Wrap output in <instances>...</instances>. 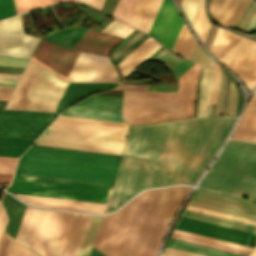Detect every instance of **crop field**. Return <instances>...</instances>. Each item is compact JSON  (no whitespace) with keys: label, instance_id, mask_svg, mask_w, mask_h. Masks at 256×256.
Returning <instances> with one entry per match:
<instances>
[{"label":"crop field","instance_id":"crop-field-1","mask_svg":"<svg viewBox=\"0 0 256 256\" xmlns=\"http://www.w3.org/2000/svg\"><path fill=\"white\" fill-rule=\"evenodd\" d=\"M235 120L188 119L131 125L107 212L145 188L195 183Z\"/></svg>","mask_w":256,"mask_h":256},{"label":"crop field","instance_id":"crop-field-2","mask_svg":"<svg viewBox=\"0 0 256 256\" xmlns=\"http://www.w3.org/2000/svg\"><path fill=\"white\" fill-rule=\"evenodd\" d=\"M189 190L175 186L143 192L118 212L105 216L94 246L108 256H156Z\"/></svg>","mask_w":256,"mask_h":256},{"label":"crop field","instance_id":"crop-field-3","mask_svg":"<svg viewBox=\"0 0 256 256\" xmlns=\"http://www.w3.org/2000/svg\"><path fill=\"white\" fill-rule=\"evenodd\" d=\"M120 156L33 146L16 173L113 184Z\"/></svg>","mask_w":256,"mask_h":256},{"label":"crop field","instance_id":"crop-field-4","mask_svg":"<svg viewBox=\"0 0 256 256\" xmlns=\"http://www.w3.org/2000/svg\"><path fill=\"white\" fill-rule=\"evenodd\" d=\"M200 68L180 77L178 93L125 91L122 118L135 124L193 117Z\"/></svg>","mask_w":256,"mask_h":256},{"label":"crop field","instance_id":"crop-field-5","mask_svg":"<svg viewBox=\"0 0 256 256\" xmlns=\"http://www.w3.org/2000/svg\"><path fill=\"white\" fill-rule=\"evenodd\" d=\"M198 186L256 200V144L230 139Z\"/></svg>","mask_w":256,"mask_h":256},{"label":"crop field","instance_id":"crop-field-6","mask_svg":"<svg viewBox=\"0 0 256 256\" xmlns=\"http://www.w3.org/2000/svg\"><path fill=\"white\" fill-rule=\"evenodd\" d=\"M113 185L16 174L10 192L107 204Z\"/></svg>","mask_w":256,"mask_h":256},{"label":"crop field","instance_id":"crop-field-7","mask_svg":"<svg viewBox=\"0 0 256 256\" xmlns=\"http://www.w3.org/2000/svg\"><path fill=\"white\" fill-rule=\"evenodd\" d=\"M125 138L47 129L37 145L121 154Z\"/></svg>","mask_w":256,"mask_h":256},{"label":"crop field","instance_id":"crop-field-8","mask_svg":"<svg viewBox=\"0 0 256 256\" xmlns=\"http://www.w3.org/2000/svg\"><path fill=\"white\" fill-rule=\"evenodd\" d=\"M74 213L43 210L29 247L43 256H58L55 246L61 249Z\"/></svg>","mask_w":256,"mask_h":256},{"label":"crop field","instance_id":"crop-field-9","mask_svg":"<svg viewBox=\"0 0 256 256\" xmlns=\"http://www.w3.org/2000/svg\"><path fill=\"white\" fill-rule=\"evenodd\" d=\"M251 89L256 84V42L232 34L222 60Z\"/></svg>","mask_w":256,"mask_h":256},{"label":"crop field","instance_id":"crop-field-10","mask_svg":"<svg viewBox=\"0 0 256 256\" xmlns=\"http://www.w3.org/2000/svg\"><path fill=\"white\" fill-rule=\"evenodd\" d=\"M58 114L3 110L0 135L37 138Z\"/></svg>","mask_w":256,"mask_h":256},{"label":"crop field","instance_id":"crop-field-11","mask_svg":"<svg viewBox=\"0 0 256 256\" xmlns=\"http://www.w3.org/2000/svg\"><path fill=\"white\" fill-rule=\"evenodd\" d=\"M67 81L120 82L108 58L81 52Z\"/></svg>","mask_w":256,"mask_h":256},{"label":"crop field","instance_id":"crop-field-12","mask_svg":"<svg viewBox=\"0 0 256 256\" xmlns=\"http://www.w3.org/2000/svg\"><path fill=\"white\" fill-rule=\"evenodd\" d=\"M212 74H213V68H209L208 70L204 69L202 73L201 94H200L199 109H198L197 117L210 116L212 104H209V99H210V91H211V83H212ZM221 77H222V71H220L215 114H217V110H218ZM229 84H230V79L223 73L218 114H226ZM232 88H233V84L231 82L227 114H229V111H230ZM236 100H237V93L234 87L230 115H235Z\"/></svg>","mask_w":256,"mask_h":256},{"label":"crop field","instance_id":"crop-field-13","mask_svg":"<svg viewBox=\"0 0 256 256\" xmlns=\"http://www.w3.org/2000/svg\"><path fill=\"white\" fill-rule=\"evenodd\" d=\"M39 38L24 35L20 16L0 21V53L29 58Z\"/></svg>","mask_w":256,"mask_h":256},{"label":"crop field","instance_id":"crop-field-14","mask_svg":"<svg viewBox=\"0 0 256 256\" xmlns=\"http://www.w3.org/2000/svg\"><path fill=\"white\" fill-rule=\"evenodd\" d=\"M79 52L40 40L32 60L66 80Z\"/></svg>","mask_w":256,"mask_h":256},{"label":"crop field","instance_id":"crop-field-15","mask_svg":"<svg viewBox=\"0 0 256 256\" xmlns=\"http://www.w3.org/2000/svg\"><path fill=\"white\" fill-rule=\"evenodd\" d=\"M177 229L214 237L246 246H253L256 234L182 216Z\"/></svg>","mask_w":256,"mask_h":256},{"label":"crop field","instance_id":"crop-field-16","mask_svg":"<svg viewBox=\"0 0 256 256\" xmlns=\"http://www.w3.org/2000/svg\"><path fill=\"white\" fill-rule=\"evenodd\" d=\"M183 23L170 0H163L148 32L163 45L172 48Z\"/></svg>","mask_w":256,"mask_h":256},{"label":"crop field","instance_id":"crop-field-17","mask_svg":"<svg viewBox=\"0 0 256 256\" xmlns=\"http://www.w3.org/2000/svg\"><path fill=\"white\" fill-rule=\"evenodd\" d=\"M128 127L123 123L59 116L49 128L125 137Z\"/></svg>","mask_w":256,"mask_h":256},{"label":"crop field","instance_id":"crop-field-18","mask_svg":"<svg viewBox=\"0 0 256 256\" xmlns=\"http://www.w3.org/2000/svg\"><path fill=\"white\" fill-rule=\"evenodd\" d=\"M20 200L28 202L36 206L52 207L64 210H74V211H84V212H94V213H105L106 206L103 204L15 194Z\"/></svg>","mask_w":256,"mask_h":256},{"label":"crop field","instance_id":"crop-field-19","mask_svg":"<svg viewBox=\"0 0 256 256\" xmlns=\"http://www.w3.org/2000/svg\"><path fill=\"white\" fill-rule=\"evenodd\" d=\"M56 78L57 76L42 68L22 109L40 111Z\"/></svg>","mask_w":256,"mask_h":256},{"label":"crop field","instance_id":"crop-field-20","mask_svg":"<svg viewBox=\"0 0 256 256\" xmlns=\"http://www.w3.org/2000/svg\"><path fill=\"white\" fill-rule=\"evenodd\" d=\"M120 40L119 38L89 29L73 49L108 55L110 48Z\"/></svg>","mask_w":256,"mask_h":256},{"label":"crop field","instance_id":"crop-field-21","mask_svg":"<svg viewBox=\"0 0 256 256\" xmlns=\"http://www.w3.org/2000/svg\"><path fill=\"white\" fill-rule=\"evenodd\" d=\"M233 138L256 142V91L233 133Z\"/></svg>","mask_w":256,"mask_h":256},{"label":"crop field","instance_id":"crop-field-22","mask_svg":"<svg viewBox=\"0 0 256 256\" xmlns=\"http://www.w3.org/2000/svg\"><path fill=\"white\" fill-rule=\"evenodd\" d=\"M118 84H94V83H70L56 112H61L71 104L84 96L108 88H114Z\"/></svg>","mask_w":256,"mask_h":256},{"label":"crop field","instance_id":"crop-field-23","mask_svg":"<svg viewBox=\"0 0 256 256\" xmlns=\"http://www.w3.org/2000/svg\"><path fill=\"white\" fill-rule=\"evenodd\" d=\"M162 0H138L129 24L148 32Z\"/></svg>","mask_w":256,"mask_h":256},{"label":"crop field","instance_id":"crop-field-24","mask_svg":"<svg viewBox=\"0 0 256 256\" xmlns=\"http://www.w3.org/2000/svg\"><path fill=\"white\" fill-rule=\"evenodd\" d=\"M192 199L256 215V205L221 197L218 195L197 190Z\"/></svg>","mask_w":256,"mask_h":256},{"label":"crop field","instance_id":"crop-field-25","mask_svg":"<svg viewBox=\"0 0 256 256\" xmlns=\"http://www.w3.org/2000/svg\"><path fill=\"white\" fill-rule=\"evenodd\" d=\"M61 115L125 123L123 120L120 119V112H111L75 106H71Z\"/></svg>","mask_w":256,"mask_h":256},{"label":"crop field","instance_id":"crop-field-26","mask_svg":"<svg viewBox=\"0 0 256 256\" xmlns=\"http://www.w3.org/2000/svg\"><path fill=\"white\" fill-rule=\"evenodd\" d=\"M42 210L26 207L15 238L29 245Z\"/></svg>","mask_w":256,"mask_h":256},{"label":"crop field","instance_id":"crop-field-27","mask_svg":"<svg viewBox=\"0 0 256 256\" xmlns=\"http://www.w3.org/2000/svg\"><path fill=\"white\" fill-rule=\"evenodd\" d=\"M2 202L9 217V221L7 223L5 231L11 234L12 236H15V233L17 231L18 225L20 223L21 217L26 206L16 201L7 193H5Z\"/></svg>","mask_w":256,"mask_h":256},{"label":"crop field","instance_id":"crop-field-28","mask_svg":"<svg viewBox=\"0 0 256 256\" xmlns=\"http://www.w3.org/2000/svg\"><path fill=\"white\" fill-rule=\"evenodd\" d=\"M87 30L88 28L78 26L69 29L55 31L42 38L72 48ZM55 33L57 34L55 35Z\"/></svg>","mask_w":256,"mask_h":256},{"label":"crop field","instance_id":"crop-field-29","mask_svg":"<svg viewBox=\"0 0 256 256\" xmlns=\"http://www.w3.org/2000/svg\"><path fill=\"white\" fill-rule=\"evenodd\" d=\"M0 256H38V254L4 233L0 242Z\"/></svg>","mask_w":256,"mask_h":256},{"label":"crop field","instance_id":"crop-field-30","mask_svg":"<svg viewBox=\"0 0 256 256\" xmlns=\"http://www.w3.org/2000/svg\"><path fill=\"white\" fill-rule=\"evenodd\" d=\"M74 105L121 111L122 99L92 95Z\"/></svg>","mask_w":256,"mask_h":256},{"label":"crop field","instance_id":"crop-field-31","mask_svg":"<svg viewBox=\"0 0 256 256\" xmlns=\"http://www.w3.org/2000/svg\"><path fill=\"white\" fill-rule=\"evenodd\" d=\"M250 0H231L222 12L218 21L224 25L233 27Z\"/></svg>","mask_w":256,"mask_h":256},{"label":"crop field","instance_id":"crop-field-32","mask_svg":"<svg viewBox=\"0 0 256 256\" xmlns=\"http://www.w3.org/2000/svg\"><path fill=\"white\" fill-rule=\"evenodd\" d=\"M103 216L92 215L77 256H88Z\"/></svg>","mask_w":256,"mask_h":256},{"label":"crop field","instance_id":"crop-field-33","mask_svg":"<svg viewBox=\"0 0 256 256\" xmlns=\"http://www.w3.org/2000/svg\"><path fill=\"white\" fill-rule=\"evenodd\" d=\"M183 215L192 217V218H196V219H200V220H204V221H208V222H212V223H216V224H220V225H224V226H228V227H232V228H236V229H240V230H244V231H248V232H252V233H256V227L247 225V224H242V223H238V222H234V221H230V220H226V219H221V218H217V217H213V216H209V215H204V214H200V213H196V212H192V211H188V210H185Z\"/></svg>","mask_w":256,"mask_h":256},{"label":"crop field","instance_id":"crop-field-34","mask_svg":"<svg viewBox=\"0 0 256 256\" xmlns=\"http://www.w3.org/2000/svg\"><path fill=\"white\" fill-rule=\"evenodd\" d=\"M234 28L252 33L256 28V1L251 0Z\"/></svg>","mask_w":256,"mask_h":256},{"label":"crop field","instance_id":"crop-field-35","mask_svg":"<svg viewBox=\"0 0 256 256\" xmlns=\"http://www.w3.org/2000/svg\"><path fill=\"white\" fill-rule=\"evenodd\" d=\"M231 34V32L225 29H222L220 27L218 28L210 51L215 54L220 60H222L223 58Z\"/></svg>","mask_w":256,"mask_h":256},{"label":"crop field","instance_id":"crop-field-36","mask_svg":"<svg viewBox=\"0 0 256 256\" xmlns=\"http://www.w3.org/2000/svg\"><path fill=\"white\" fill-rule=\"evenodd\" d=\"M136 2L137 0H119L112 16L127 23Z\"/></svg>","mask_w":256,"mask_h":256},{"label":"crop field","instance_id":"crop-field-37","mask_svg":"<svg viewBox=\"0 0 256 256\" xmlns=\"http://www.w3.org/2000/svg\"><path fill=\"white\" fill-rule=\"evenodd\" d=\"M83 214L75 213L59 256H67Z\"/></svg>","mask_w":256,"mask_h":256},{"label":"crop field","instance_id":"crop-field-38","mask_svg":"<svg viewBox=\"0 0 256 256\" xmlns=\"http://www.w3.org/2000/svg\"><path fill=\"white\" fill-rule=\"evenodd\" d=\"M14 1H15L17 14L53 3V0H14Z\"/></svg>","mask_w":256,"mask_h":256},{"label":"crop field","instance_id":"crop-field-39","mask_svg":"<svg viewBox=\"0 0 256 256\" xmlns=\"http://www.w3.org/2000/svg\"><path fill=\"white\" fill-rule=\"evenodd\" d=\"M189 204L198 206V207H202V208H206V209H210V210H214V211H219V212L239 216V217L256 220L255 215L238 212V211H234V210H230V209H226V208H222V207H218V206H213V205H209V204H205V203H201V202H197V201H193V200H191Z\"/></svg>","mask_w":256,"mask_h":256},{"label":"crop field","instance_id":"crop-field-40","mask_svg":"<svg viewBox=\"0 0 256 256\" xmlns=\"http://www.w3.org/2000/svg\"><path fill=\"white\" fill-rule=\"evenodd\" d=\"M173 233L200 239V240H205V241H209V242H213V243H217V244H222V245H226V246H230V247H235V248H239V249H243V250H247V251H250V249H251L250 247H246V246H242V245H238V244H234V243H230V242H226V241H222V240H218V239H213V238H209V237H205V236H201V235H197V234H193V233H189V232H185V231H181V230H177V229H175Z\"/></svg>","mask_w":256,"mask_h":256},{"label":"crop field","instance_id":"crop-field-41","mask_svg":"<svg viewBox=\"0 0 256 256\" xmlns=\"http://www.w3.org/2000/svg\"><path fill=\"white\" fill-rule=\"evenodd\" d=\"M41 68L42 67H40L38 65H35V67H34L32 73H31V75H30V77H29V79H28V81H27V83H26V85H25V87H24V89H23L15 107H14V109H21V107H22L30 89L32 88V86H33Z\"/></svg>","mask_w":256,"mask_h":256},{"label":"crop field","instance_id":"crop-field-42","mask_svg":"<svg viewBox=\"0 0 256 256\" xmlns=\"http://www.w3.org/2000/svg\"><path fill=\"white\" fill-rule=\"evenodd\" d=\"M91 215L84 214L68 256H76Z\"/></svg>","mask_w":256,"mask_h":256},{"label":"crop field","instance_id":"crop-field-43","mask_svg":"<svg viewBox=\"0 0 256 256\" xmlns=\"http://www.w3.org/2000/svg\"><path fill=\"white\" fill-rule=\"evenodd\" d=\"M34 64L35 63L29 61V63H28V65H27V67H26V69H25V71H24V73H23V75H22V77H21V79H20V81H19V83H18V85H17V87H16V89H15V91H14V93H13V95H12V97H11V99H10L6 108H10V109L13 108V106H14V104H15V102H16V100H17V98H18V96H19V94H20V92H21V90H22V88H23V86H24L32 68H33V66H34Z\"/></svg>","mask_w":256,"mask_h":256},{"label":"crop field","instance_id":"crop-field-44","mask_svg":"<svg viewBox=\"0 0 256 256\" xmlns=\"http://www.w3.org/2000/svg\"><path fill=\"white\" fill-rule=\"evenodd\" d=\"M132 30L133 28H130L116 20H113L102 31L125 38Z\"/></svg>","mask_w":256,"mask_h":256},{"label":"crop field","instance_id":"crop-field-45","mask_svg":"<svg viewBox=\"0 0 256 256\" xmlns=\"http://www.w3.org/2000/svg\"><path fill=\"white\" fill-rule=\"evenodd\" d=\"M168 246L177 248V249H181V250H185V251H189V252H193V253H197V254H201V255H205V256H230V255L217 253V252H213V251H209V250H205V249H201V248H197V247H192V246H188V245H184V244H180V243H176V242H172V241L169 242Z\"/></svg>","mask_w":256,"mask_h":256},{"label":"crop field","instance_id":"crop-field-46","mask_svg":"<svg viewBox=\"0 0 256 256\" xmlns=\"http://www.w3.org/2000/svg\"><path fill=\"white\" fill-rule=\"evenodd\" d=\"M201 0H183L181 7L192 24Z\"/></svg>","mask_w":256,"mask_h":256},{"label":"crop field","instance_id":"crop-field-47","mask_svg":"<svg viewBox=\"0 0 256 256\" xmlns=\"http://www.w3.org/2000/svg\"><path fill=\"white\" fill-rule=\"evenodd\" d=\"M15 14L16 12L13 0H0V19Z\"/></svg>","mask_w":256,"mask_h":256},{"label":"crop field","instance_id":"crop-field-48","mask_svg":"<svg viewBox=\"0 0 256 256\" xmlns=\"http://www.w3.org/2000/svg\"><path fill=\"white\" fill-rule=\"evenodd\" d=\"M162 46L158 43L150 49L144 56H142L136 63H134L127 71H125L122 76L125 78L128 76L132 71H134L139 65H141L145 60H147L152 54H154L159 48Z\"/></svg>","mask_w":256,"mask_h":256},{"label":"crop field","instance_id":"crop-field-49","mask_svg":"<svg viewBox=\"0 0 256 256\" xmlns=\"http://www.w3.org/2000/svg\"><path fill=\"white\" fill-rule=\"evenodd\" d=\"M172 236L177 237V238H181V239H185V240H189V241H193V242H197V243H201V244H205V245H209V246H213V247H217V248H221V249H225V250H229V251H233V252H237V253H241V254H245V255L248 254L247 251H243V250H239V249H235V248H230V247H226V246H222V245H217V244H213V243H209V242H205V241H200V240H196V239H192V238H187V237H183V236H179V235H175V234H172Z\"/></svg>","mask_w":256,"mask_h":256},{"label":"crop field","instance_id":"crop-field-50","mask_svg":"<svg viewBox=\"0 0 256 256\" xmlns=\"http://www.w3.org/2000/svg\"><path fill=\"white\" fill-rule=\"evenodd\" d=\"M191 59L207 66L210 57L202 50V48L197 44L195 51L191 57Z\"/></svg>","mask_w":256,"mask_h":256},{"label":"crop field","instance_id":"crop-field-51","mask_svg":"<svg viewBox=\"0 0 256 256\" xmlns=\"http://www.w3.org/2000/svg\"><path fill=\"white\" fill-rule=\"evenodd\" d=\"M26 63H27V61H25V60H19V59H13V58H7V57L0 56V65L25 67Z\"/></svg>","mask_w":256,"mask_h":256},{"label":"crop field","instance_id":"crop-field-52","mask_svg":"<svg viewBox=\"0 0 256 256\" xmlns=\"http://www.w3.org/2000/svg\"><path fill=\"white\" fill-rule=\"evenodd\" d=\"M157 42L154 40L148 44L142 51H140L133 59H131L125 66H123L120 71L123 73L127 70L134 62H136L143 54H145L152 46H154ZM153 48V47H152ZM151 48V49H152ZM144 56V55H143Z\"/></svg>","mask_w":256,"mask_h":256},{"label":"crop field","instance_id":"crop-field-53","mask_svg":"<svg viewBox=\"0 0 256 256\" xmlns=\"http://www.w3.org/2000/svg\"><path fill=\"white\" fill-rule=\"evenodd\" d=\"M170 240L180 242V243H184V244H188V245H192V246H197V247L209 249V250H213V251H217V252H222V253H226V254H230V255H234V256H244V255H240V254H236V253H232V252H228V251H224V250H220V249H216V248H212V247H208V246H204V245H200V244H196V243H192V242L172 238V237H171Z\"/></svg>","mask_w":256,"mask_h":256},{"label":"crop field","instance_id":"crop-field-54","mask_svg":"<svg viewBox=\"0 0 256 256\" xmlns=\"http://www.w3.org/2000/svg\"><path fill=\"white\" fill-rule=\"evenodd\" d=\"M153 39L150 37L145 40L139 47H137L131 54H129L123 61H121L118 66L121 68L125 65L131 58H133L140 50H142L148 43H150Z\"/></svg>","mask_w":256,"mask_h":256},{"label":"crop field","instance_id":"crop-field-55","mask_svg":"<svg viewBox=\"0 0 256 256\" xmlns=\"http://www.w3.org/2000/svg\"><path fill=\"white\" fill-rule=\"evenodd\" d=\"M215 71H214V78H213V85H212V93H211V100L210 103H215L216 99V91H217V82H218V74L220 66L215 63Z\"/></svg>","mask_w":256,"mask_h":256},{"label":"crop field","instance_id":"crop-field-56","mask_svg":"<svg viewBox=\"0 0 256 256\" xmlns=\"http://www.w3.org/2000/svg\"><path fill=\"white\" fill-rule=\"evenodd\" d=\"M163 256H200V255H196V254H192V253H188V252H184V251H180V250H176V249L167 247Z\"/></svg>","mask_w":256,"mask_h":256},{"label":"crop field","instance_id":"crop-field-57","mask_svg":"<svg viewBox=\"0 0 256 256\" xmlns=\"http://www.w3.org/2000/svg\"><path fill=\"white\" fill-rule=\"evenodd\" d=\"M225 0H211V3L209 5V10L211 14L214 15L217 13L221 5L224 3Z\"/></svg>","mask_w":256,"mask_h":256},{"label":"crop field","instance_id":"crop-field-58","mask_svg":"<svg viewBox=\"0 0 256 256\" xmlns=\"http://www.w3.org/2000/svg\"><path fill=\"white\" fill-rule=\"evenodd\" d=\"M17 79L0 78V87L13 88Z\"/></svg>","mask_w":256,"mask_h":256},{"label":"crop field","instance_id":"crop-field-59","mask_svg":"<svg viewBox=\"0 0 256 256\" xmlns=\"http://www.w3.org/2000/svg\"><path fill=\"white\" fill-rule=\"evenodd\" d=\"M147 85L121 84L116 88L146 90Z\"/></svg>","mask_w":256,"mask_h":256},{"label":"crop field","instance_id":"crop-field-60","mask_svg":"<svg viewBox=\"0 0 256 256\" xmlns=\"http://www.w3.org/2000/svg\"><path fill=\"white\" fill-rule=\"evenodd\" d=\"M103 3L104 0H91L89 4L100 10Z\"/></svg>","mask_w":256,"mask_h":256},{"label":"crop field","instance_id":"crop-field-61","mask_svg":"<svg viewBox=\"0 0 256 256\" xmlns=\"http://www.w3.org/2000/svg\"><path fill=\"white\" fill-rule=\"evenodd\" d=\"M90 256H106L101 251H99L97 248L93 247V250L91 252Z\"/></svg>","mask_w":256,"mask_h":256},{"label":"crop field","instance_id":"crop-field-62","mask_svg":"<svg viewBox=\"0 0 256 256\" xmlns=\"http://www.w3.org/2000/svg\"><path fill=\"white\" fill-rule=\"evenodd\" d=\"M230 0H226L225 3L222 5V7L220 8V10L218 11V13L215 15V19L217 20V18L219 17V15L221 14V12L224 10V8L226 7V5L228 4Z\"/></svg>","mask_w":256,"mask_h":256},{"label":"crop field","instance_id":"crop-field-63","mask_svg":"<svg viewBox=\"0 0 256 256\" xmlns=\"http://www.w3.org/2000/svg\"><path fill=\"white\" fill-rule=\"evenodd\" d=\"M20 75H15V74H1L0 77H12V78H19Z\"/></svg>","mask_w":256,"mask_h":256},{"label":"crop field","instance_id":"crop-field-64","mask_svg":"<svg viewBox=\"0 0 256 256\" xmlns=\"http://www.w3.org/2000/svg\"><path fill=\"white\" fill-rule=\"evenodd\" d=\"M10 94L0 93V99L2 100H8Z\"/></svg>","mask_w":256,"mask_h":256},{"label":"crop field","instance_id":"crop-field-65","mask_svg":"<svg viewBox=\"0 0 256 256\" xmlns=\"http://www.w3.org/2000/svg\"><path fill=\"white\" fill-rule=\"evenodd\" d=\"M13 89L0 88V92L11 93Z\"/></svg>","mask_w":256,"mask_h":256},{"label":"crop field","instance_id":"crop-field-66","mask_svg":"<svg viewBox=\"0 0 256 256\" xmlns=\"http://www.w3.org/2000/svg\"><path fill=\"white\" fill-rule=\"evenodd\" d=\"M248 256H256V246H254L253 250Z\"/></svg>","mask_w":256,"mask_h":256},{"label":"crop field","instance_id":"crop-field-67","mask_svg":"<svg viewBox=\"0 0 256 256\" xmlns=\"http://www.w3.org/2000/svg\"><path fill=\"white\" fill-rule=\"evenodd\" d=\"M74 1H79V2H83V3H89L90 0H74Z\"/></svg>","mask_w":256,"mask_h":256},{"label":"crop field","instance_id":"crop-field-68","mask_svg":"<svg viewBox=\"0 0 256 256\" xmlns=\"http://www.w3.org/2000/svg\"><path fill=\"white\" fill-rule=\"evenodd\" d=\"M75 17H76V16H75ZM75 17H73V18L70 19L68 22H66V24L69 23L71 20H73ZM77 20H79V18H78ZM77 20H75L73 23H75ZM73 23H71L69 26H71ZM69 26H68V27H69Z\"/></svg>","mask_w":256,"mask_h":256},{"label":"crop field","instance_id":"crop-field-69","mask_svg":"<svg viewBox=\"0 0 256 256\" xmlns=\"http://www.w3.org/2000/svg\"><path fill=\"white\" fill-rule=\"evenodd\" d=\"M181 1H182V0H178V2H179L180 4H181Z\"/></svg>","mask_w":256,"mask_h":256},{"label":"crop field","instance_id":"crop-field-70","mask_svg":"<svg viewBox=\"0 0 256 256\" xmlns=\"http://www.w3.org/2000/svg\"><path fill=\"white\" fill-rule=\"evenodd\" d=\"M256 245V244H255Z\"/></svg>","mask_w":256,"mask_h":256}]
</instances>
